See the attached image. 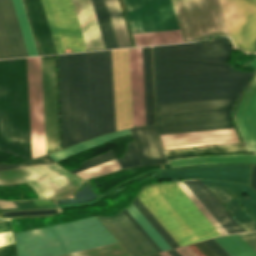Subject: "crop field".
<instances>
[{"label":"crop field","instance_id":"1","mask_svg":"<svg viewBox=\"0 0 256 256\" xmlns=\"http://www.w3.org/2000/svg\"><path fill=\"white\" fill-rule=\"evenodd\" d=\"M236 98L156 105L160 134L232 127L229 110ZM163 145L207 142L164 147L186 148L238 142L234 128L160 135Z\"/></svg>","mask_w":256,"mask_h":256},{"label":"crop field","instance_id":"2","mask_svg":"<svg viewBox=\"0 0 256 256\" xmlns=\"http://www.w3.org/2000/svg\"><path fill=\"white\" fill-rule=\"evenodd\" d=\"M0 151L31 159L26 58L0 60Z\"/></svg>","mask_w":256,"mask_h":256},{"label":"crop field","instance_id":"3","mask_svg":"<svg viewBox=\"0 0 256 256\" xmlns=\"http://www.w3.org/2000/svg\"><path fill=\"white\" fill-rule=\"evenodd\" d=\"M138 198L180 246L220 235L175 182L148 185Z\"/></svg>","mask_w":256,"mask_h":256},{"label":"crop field","instance_id":"4","mask_svg":"<svg viewBox=\"0 0 256 256\" xmlns=\"http://www.w3.org/2000/svg\"><path fill=\"white\" fill-rule=\"evenodd\" d=\"M18 256H58L117 240L95 217L14 234Z\"/></svg>","mask_w":256,"mask_h":256},{"label":"crop field","instance_id":"5","mask_svg":"<svg viewBox=\"0 0 256 256\" xmlns=\"http://www.w3.org/2000/svg\"><path fill=\"white\" fill-rule=\"evenodd\" d=\"M154 79L243 72L228 61L229 39L217 37L204 42L152 47Z\"/></svg>","mask_w":256,"mask_h":256},{"label":"crop field","instance_id":"6","mask_svg":"<svg viewBox=\"0 0 256 256\" xmlns=\"http://www.w3.org/2000/svg\"><path fill=\"white\" fill-rule=\"evenodd\" d=\"M256 55L247 60L243 66L256 71ZM255 60V61H254ZM254 61V62H252ZM252 62V63H250ZM254 66L255 68H253ZM256 74V72H255ZM254 74V76H255ZM253 76V78H254ZM249 82L239 100L237 101L234 110H233V121L241 135L243 143H234V144H226L221 146H212V147H202V148H193L186 150H173V151H164L167 163H164V168L170 167L168 159H178V158H186L194 154H220V153H241V152H255L248 151L256 150V76L253 80ZM253 80V82H252ZM252 82V84H251ZM251 84V85H250ZM250 85V87H249ZM249 87V89H248ZM248 89V91H247ZM247 91V93H246ZM246 93V95H245ZM245 95V97H244ZM244 100L242 102V99ZM242 102V104H241ZM241 104V106H240ZM240 106V110H239ZM239 110V114H238ZM238 114V118H237ZM237 118V122H236ZM256 153V152H255ZM254 153V154H255ZM171 167L175 166H185V165H196V164H210V163H235V162H256V155H233V156H206V157H194V158H186V159H178V160H169Z\"/></svg>","mask_w":256,"mask_h":256},{"label":"crop field","instance_id":"7","mask_svg":"<svg viewBox=\"0 0 256 256\" xmlns=\"http://www.w3.org/2000/svg\"><path fill=\"white\" fill-rule=\"evenodd\" d=\"M63 148L89 138L84 53L58 55Z\"/></svg>","mask_w":256,"mask_h":256},{"label":"crop field","instance_id":"8","mask_svg":"<svg viewBox=\"0 0 256 256\" xmlns=\"http://www.w3.org/2000/svg\"><path fill=\"white\" fill-rule=\"evenodd\" d=\"M252 72L154 80L156 104L239 96Z\"/></svg>","mask_w":256,"mask_h":256},{"label":"crop field","instance_id":"9","mask_svg":"<svg viewBox=\"0 0 256 256\" xmlns=\"http://www.w3.org/2000/svg\"><path fill=\"white\" fill-rule=\"evenodd\" d=\"M90 138L115 131L111 50L85 53Z\"/></svg>","mask_w":256,"mask_h":256},{"label":"crop field","instance_id":"10","mask_svg":"<svg viewBox=\"0 0 256 256\" xmlns=\"http://www.w3.org/2000/svg\"><path fill=\"white\" fill-rule=\"evenodd\" d=\"M133 33L179 29L170 0H123ZM137 46L183 42L179 30L133 34Z\"/></svg>","mask_w":256,"mask_h":256},{"label":"crop field","instance_id":"11","mask_svg":"<svg viewBox=\"0 0 256 256\" xmlns=\"http://www.w3.org/2000/svg\"><path fill=\"white\" fill-rule=\"evenodd\" d=\"M27 182L40 198L62 197L84 181L56 163L0 171V185Z\"/></svg>","mask_w":256,"mask_h":256},{"label":"crop field","instance_id":"12","mask_svg":"<svg viewBox=\"0 0 256 256\" xmlns=\"http://www.w3.org/2000/svg\"><path fill=\"white\" fill-rule=\"evenodd\" d=\"M183 41L226 34L217 0H171Z\"/></svg>","mask_w":256,"mask_h":256},{"label":"crop field","instance_id":"13","mask_svg":"<svg viewBox=\"0 0 256 256\" xmlns=\"http://www.w3.org/2000/svg\"><path fill=\"white\" fill-rule=\"evenodd\" d=\"M87 51L118 48L104 0H72Z\"/></svg>","mask_w":256,"mask_h":256},{"label":"crop field","instance_id":"14","mask_svg":"<svg viewBox=\"0 0 256 256\" xmlns=\"http://www.w3.org/2000/svg\"><path fill=\"white\" fill-rule=\"evenodd\" d=\"M58 53L86 51L71 0H42Z\"/></svg>","mask_w":256,"mask_h":256},{"label":"crop field","instance_id":"15","mask_svg":"<svg viewBox=\"0 0 256 256\" xmlns=\"http://www.w3.org/2000/svg\"><path fill=\"white\" fill-rule=\"evenodd\" d=\"M220 3L235 45L242 52H255L256 0H220Z\"/></svg>","mask_w":256,"mask_h":256},{"label":"crop field","instance_id":"16","mask_svg":"<svg viewBox=\"0 0 256 256\" xmlns=\"http://www.w3.org/2000/svg\"><path fill=\"white\" fill-rule=\"evenodd\" d=\"M32 158L46 154L40 57L27 58Z\"/></svg>","mask_w":256,"mask_h":256},{"label":"crop field","instance_id":"17","mask_svg":"<svg viewBox=\"0 0 256 256\" xmlns=\"http://www.w3.org/2000/svg\"><path fill=\"white\" fill-rule=\"evenodd\" d=\"M202 181L223 201L230 213L247 231L256 230V192L254 190L241 184ZM221 184L235 196L250 218ZM245 193L249 198L246 199L243 196Z\"/></svg>","mask_w":256,"mask_h":256},{"label":"crop field","instance_id":"18","mask_svg":"<svg viewBox=\"0 0 256 256\" xmlns=\"http://www.w3.org/2000/svg\"><path fill=\"white\" fill-rule=\"evenodd\" d=\"M47 153L60 148L54 56L41 57Z\"/></svg>","mask_w":256,"mask_h":256},{"label":"crop field","instance_id":"19","mask_svg":"<svg viewBox=\"0 0 256 256\" xmlns=\"http://www.w3.org/2000/svg\"><path fill=\"white\" fill-rule=\"evenodd\" d=\"M28 56L11 0H0V59Z\"/></svg>","mask_w":256,"mask_h":256},{"label":"crop field","instance_id":"20","mask_svg":"<svg viewBox=\"0 0 256 256\" xmlns=\"http://www.w3.org/2000/svg\"><path fill=\"white\" fill-rule=\"evenodd\" d=\"M102 223L110 230L131 256H145L156 253L153 247L132 225V223L120 213L116 217H98Z\"/></svg>","mask_w":256,"mask_h":256},{"label":"crop field","instance_id":"21","mask_svg":"<svg viewBox=\"0 0 256 256\" xmlns=\"http://www.w3.org/2000/svg\"><path fill=\"white\" fill-rule=\"evenodd\" d=\"M250 166H224L161 172L160 179L216 178L248 184Z\"/></svg>","mask_w":256,"mask_h":256},{"label":"crop field","instance_id":"22","mask_svg":"<svg viewBox=\"0 0 256 256\" xmlns=\"http://www.w3.org/2000/svg\"><path fill=\"white\" fill-rule=\"evenodd\" d=\"M228 234L245 232L229 215L215 195L200 181H183Z\"/></svg>","mask_w":256,"mask_h":256},{"label":"crop field","instance_id":"23","mask_svg":"<svg viewBox=\"0 0 256 256\" xmlns=\"http://www.w3.org/2000/svg\"><path fill=\"white\" fill-rule=\"evenodd\" d=\"M129 130L142 165L166 162L155 126Z\"/></svg>","mask_w":256,"mask_h":256},{"label":"crop field","instance_id":"24","mask_svg":"<svg viewBox=\"0 0 256 256\" xmlns=\"http://www.w3.org/2000/svg\"><path fill=\"white\" fill-rule=\"evenodd\" d=\"M133 127L145 125L141 48L129 49Z\"/></svg>","mask_w":256,"mask_h":256},{"label":"crop field","instance_id":"25","mask_svg":"<svg viewBox=\"0 0 256 256\" xmlns=\"http://www.w3.org/2000/svg\"><path fill=\"white\" fill-rule=\"evenodd\" d=\"M41 55L57 53L41 0H25Z\"/></svg>","mask_w":256,"mask_h":256},{"label":"crop field","instance_id":"26","mask_svg":"<svg viewBox=\"0 0 256 256\" xmlns=\"http://www.w3.org/2000/svg\"><path fill=\"white\" fill-rule=\"evenodd\" d=\"M105 3L118 43V47L122 48L132 46L119 4V0H105Z\"/></svg>","mask_w":256,"mask_h":256},{"label":"crop field","instance_id":"27","mask_svg":"<svg viewBox=\"0 0 256 256\" xmlns=\"http://www.w3.org/2000/svg\"><path fill=\"white\" fill-rule=\"evenodd\" d=\"M127 145H128L129 151L123 152L124 158L117 159L114 151L112 150L82 162L79 167L71 170L70 172L74 173L114 158L118 160V162L120 163L123 169L127 167L141 165L135 151L134 143L133 142L128 143Z\"/></svg>","mask_w":256,"mask_h":256},{"label":"crop field","instance_id":"28","mask_svg":"<svg viewBox=\"0 0 256 256\" xmlns=\"http://www.w3.org/2000/svg\"><path fill=\"white\" fill-rule=\"evenodd\" d=\"M129 134L130 133H129L128 129L119 131L116 133L108 134V135H105V136H102V137H99V138H96V139H93V140H90V141H87V142H84V143H81V144H78V145H75L72 147L66 148L64 150L49 154V156L52 157L56 162H58V161L65 159L73 154L82 152V151H84L88 148H91L93 146H96L98 144L104 143V142L109 141L114 138L129 135Z\"/></svg>","mask_w":256,"mask_h":256},{"label":"crop field","instance_id":"29","mask_svg":"<svg viewBox=\"0 0 256 256\" xmlns=\"http://www.w3.org/2000/svg\"><path fill=\"white\" fill-rule=\"evenodd\" d=\"M146 125L153 124L149 47L142 48Z\"/></svg>","mask_w":256,"mask_h":256},{"label":"crop field","instance_id":"30","mask_svg":"<svg viewBox=\"0 0 256 256\" xmlns=\"http://www.w3.org/2000/svg\"><path fill=\"white\" fill-rule=\"evenodd\" d=\"M214 240L231 256H256L238 235L214 238Z\"/></svg>","mask_w":256,"mask_h":256},{"label":"crop field","instance_id":"31","mask_svg":"<svg viewBox=\"0 0 256 256\" xmlns=\"http://www.w3.org/2000/svg\"><path fill=\"white\" fill-rule=\"evenodd\" d=\"M13 4H14L15 11H16V14L18 17V21H19L20 28H21L23 38L25 41V45H26V48L28 51V55L29 56L38 55L34 41H33V37L31 34V30L29 27V23H28V20L26 17V13L24 10L22 0H13Z\"/></svg>","mask_w":256,"mask_h":256},{"label":"crop field","instance_id":"32","mask_svg":"<svg viewBox=\"0 0 256 256\" xmlns=\"http://www.w3.org/2000/svg\"><path fill=\"white\" fill-rule=\"evenodd\" d=\"M162 251L171 249L134 205L126 209Z\"/></svg>","mask_w":256,"mask_h":256},{"label":"crop field","instance_id":"33","mask_svg":"<svg viewBox=\"0 0 256 256\" xmlns=\"http://www.w3.org/2000/svg\"><path fill=\"white\" fill-rule=\"evenodd\" d=\"M62 256H130L119 244H112Z\"/></svg>","mask_w":256,"mask_h":256},{"label":"crop field","instance_id":"34","mask_svg":"<svg viewBox=\"0 0 256 256\" xmlns=\"http://www.w3.org/2000/svg\"><path fill=\"white\" fill-rule=\"evenodd\" d=\"M136 208L143 214L149 223L156 229L162 238L169 244L171 248L178 247L176 241L167 233V231L158 223V221L149 213V211L136 198L133 203Z\"/></svg>","mask_w":256,"mask_h":256},{"label":"crop field","instance_id":"35","mask_svg":"<svg viewBox=\"0 0 256 256\" xmlns=\"http://www.w3.org/2000/svg\"><path fill=\"white\" fill-rule=\"evenodd\" d=\"M121 169L116 159L111 160L109 162L97 165L95 167L74 173L75 175L79 176L80 178L86 180L95 176H99L111 171H115Z\"/></svg>","mask_w":256,"mask_h":256},{"label":"crop field","instance_id":"36","mask_svg":"<svg viewBox=\"0 0 256 256\" xmlns=\"http://www.w3.org/2000/svg\"><path fill=\"white\" fill-rule=\"evenodd\" d=\"M176 183L205 215V217L212 223V225L219 231V233L221 235L227 234L225 230L218 224V222L211 216V214L204 208V206L198 201V199L191 193V191L184 185V183L182 181H178Z\"/></svg>","mask_w":256,"mask_h":256},{"label":"crop field","instance_id":"37","mask_svg":"<svg viewBox=\"0 0 256 256\" xmlns=\"http://www.w3.org/2000/svg\"><path fill=\"white\" fill-rule=\"evenodd\" d=\"M54 162L48 155L36 158L30 161H27L22 164H0V170L2 169H9V168H16V167H23V166H31V165H38V164H45V163H52Z\"/></svg>","mask_w":256,"mask_h":256},{"label":"crop field","instance_id":"38","mask_svg":"<svg viewBox=\"0 0 256 256\" xmlns=\"http://www.w3.org/2000/svg\"><path fill=\"white\" fill-rule=\"evenodd\" d=\"M126 216L132 221V223L138 228V230L143 234V236L149 241V243L155 248L157 252H160L161 250L158 248V246L151 240V238L143 231V229L136 223V221L129 215V213L124 210L123 211Z\"/></svg>","mask_w":256,"mask_h":256},{"label":"crop field","instance_id":"39","mask_svg":"<svg viewBox=\"0 0 256 256\" xmlns=\"http://www.w3.org/2000/svg\"><path fill=\"white\" fill-rule=\"evenodd\" d=\"M252 249L256 251V232L239 235Z\"/></svg>","mask_w":256,"mask_h":256},{"label":"crop field","instance_id":"40","mask_svg":"<svg viewBox=\"0 0 256 256\" xmlns=\"http://www.w3.org/2000/svg\"><path fill=\"white\" fill-rule=\"evenodd\" d=\"M205 243L219 256H229L213 239L205 241Z\"/></svg>","mask_w":256,"mask_h":256},{"label":"crop field","instance_id":"41","mask_svg":"<svg viewBox=\"0 0 256 256\" xmlns=\"http://www.w3.org/2000/svg\"><path fill=\"white\" fill-rule=\"evenodd\" d=\"M205 256H218L204 242L194 244Z\"/></svg>","mask_w":256,"mask_h":256},{"label":"crop field","instance_id":"42","mask_svg":"<svg viewBox=\"0 0 256 256\" xmlns=\"http://www.w3.org/2000/svg\"><path fill=\"white\" fill-rule=\"evenodd\" d=\"M0 256H16L13 244L0 247Z\"/></svg>","mask_w":256,"mask_h":256},{"label":"crop field","instance_id":"43","mask_svg":"<svg viewBox=\"0 0 256 256\" xmlns=\"http://www.w3.org/2000/svg\"><path fill=\"white\" fill-rule=\"evenodd\" d=\"M13 243L11 231L0 234V246Z\"/></svg>","mask_w":256,"mask_h":256},{"label":"crop field","instance_id":"44","mask_svg":"<svg viewBox=\"0 0 256 256\" xmlns=\"http://www.w3.org/2000/svg\"><path fill=\"white\" fill-rule=\"evenodd\" d=\"M182 256H198L188 246L176 249Z\"/></svg>","mask_w":256,"mask_h":256},{"label":"crop field","instance_id":"45","mask_svg":"<svg viewBox=\"0 0 256 256\" xmlns=\"http://www.w3.org/2000/svg\"><path fill=\"white\" fill-rule=\"evenodd\" d=\"M37 206L55 205L51 199L48 200H34Z\"/></svg>","mask_w":256,"mask_h":256},{"label":"crop field","instance_id":"46","mask_svg":"<svg viewBox=\"0 0 256 256\" xmlns=\"http://www.w3.org/2000/svg\"><path fill=\"white\" fill-rule=\"evenodd\" d=\"M17 207H24V206H35L32 200L29 201H21V202H14Z\"/></svg>","mask_w":256,"mask_h":256},{"label":"crop field","instance_id":"47","mask_svg":"<svg viewBox=\"0 0 256 256\" xmlns=\"http://www.w3.org/2000/svg\"><path fill=\"white\" fill-rule=\"evenodd\" d=\"M16 207L13 202L0 201V208H11Z\"/></svg>","mask_w":256,"mask_h":256},{"label":"crop field","instance_id":"48","mask_svg":"<svg viewBox=\"0 0 256 256\" xmlns=\"http://www.w3.org/2000/svg\"><path fill=\"white\" fill-rule=\"evenodd\" d=\"M11 230L9 222L0 224V233Z\"/></svg>","mask_w":256,"mask_h":256},{"label":"crop field","instance_id":"49","mask_svg":"<svg viewBox=\"0 0 256 256\" xmlns=\"http://www.w3.org/2000/svg\"><path fill=\"white\" fill-rule=\"evenodd\" d=\"M251 186L256 188V166H253Z\"/></svg>","mask_w":256,"mask_h":256},{"label":"crop field","instance_id":"50","mask_svg":"<svg viewBox=\"0 0 256 256\" xmlns=\"http://www.w3.org/2000/svg\"><path fill=\"white\" fill-rule=\"evenodd\" d=\"M171 256H181L175 249L168 251Z\"/></svg>","mask_w":256,"mask_h":256},{"label":"crop field","instance_id":"51","mask_svg":"<svg viewBox=\"0 0 256 256\" xmlns=\"http://www.w3.org/2000/svg\"><path fill=\"white\" fill-rule=\"evenodd\" d=\"M161 256H170L167 252L160 253Z\"/></svg>","mask_w":256,"mask_h":256},{"label":"crop field","instance_id":"52","mask_svg":"<svg viewBox=\"0 0 256 256\" xmlns=\"http://www.w3.org/2000/svg\"><path fill=\"white\" fill-rule=\"evenodd\" d=\"M153 256H160L159 254H157V255H153Z\"/></svg>","mask_w":256,"mask_h":256},{"label":"crop field","instance_id":"53","mask_svg":"<svg viewBox=\"0 0 256 256\" xmlns=\"http://www.w3.org/2000/svg\"><path fill=\"white\" fill-rule=\"evenodd\" d=\"M1 212V211H0Z\"/></svg>","mask_w":256,"mask_h":256}]
</instances>
